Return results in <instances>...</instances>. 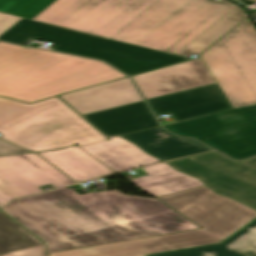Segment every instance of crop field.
I'll use <instances>...</instances> for the list:
<instances>
[{"label":"crop field","instance_id":"obj_1","mask_svg":"<svg viewBox=\"0 0 256 256\" xmlns=\"http://www.w3.org/2000/svg\"><path fill=\"white\" fill-rule=\"evenodd\" d=\"M3 209L46 240L48 253L198 229L157 199L117 190L79 196L62 188Z\"/></svg>","mask_w":256,"mask_h":256},{"label":"crop field","instance_id":"obj_2","mask_svg":"<svg viewBox=\"0 0 256 256\" xmlns=\"http://www.w3.org/2000/svg\"><path fill=\"white\" fill-rule=\"evenodd\" d=\"M121 77L102 62L0 42V97L30 103Z\"/></svg>","mask_w":256,"mask_h":256},{"label":"crop field","instance_id":"obj_3","mask_svg":"<svg viewBox=\"0 0 256 256\" xmlns=\"http://www.w3.org/2000/svg\"><path fill=\"white\" fill-rule=\"evenodd\" d=\"M0 133L34 152L107 140L57 97L32 104L0 98Z\"/></svg>","mask_w":256,"mask_h":256},{"label":"crop field","instance_id":"obj_4","mask_svg":"<svg viewBox=\"0 0 256 256\" xmlns=\"http://www.w3.org/2000/svg\"><path fill=\"white\" fill-rule=\"evenodd\" d=\"M234 7L222 0H159L111 39L175 54Z\"/></svg>","mask_w":256,"mask_h":256},{"label":"crop field","instance_id":"obj_5","mask_svg":"<svg viewBox=\"0 0 256 256\" xmlns=\"http://www.w3.org/2000/svg\"><path fill=\"white\" fill-rule=\"evenodd\" d=\"M29 38L58 44L53 50L103 60L128 76L189 60L25 18L0 36V40L19 44Z\"/></svg>","mask_w":256,"mask_h":256},{"label":"crop field","instance_id":"obj_6","mask_svg":"<svg viewBox=\"0 0 256 256\" xmlns=\"http://www.w3.org/2000/svg\"><path fill=\"white\" fill-rule=\"evenodd\" d=\"M200 57L233 108L256 103V30L249 19Z\"/></svg>","mask_w":256,"mask_h":256},{"label":"crop field","instance_id":"obj_7","mask_svg":"<svg viewBox=\"0 0 256 256\" xmlns=\"http://www.w3.org/2000/svg\"><path fill=\"white\" fill-rule=\"evenodd\" d=\"M158 0H57L33 20L110 39Z\"/></svg>","mask_w":256,"mask_h":256},{"label":"crop field","instance_id":"obj_8","mask_svg":"<svg viewBox=\"0 0 256 256\" xmlns=\"http://www.w3.org/2000/svg\"><path fill=\"white\" fill-rule=\"evenodd\" d=\"M164 128L179 136L196 138L233 159L256 155V104L165 125Z\"/></svg>","mask_w":256,"mask_h":256},{"label":"crop field","instance_id":"obj_9","mask_svg":"<svg viewBox=\"0 0 256 256\" xmlns=\"http://www.w3.org/2000/svg\"><path fill=\"white\" fill-rule=\"evenodd\" d=\"M157 199L221 241L256 218L253 208L220 196L205 185Z\"/></svg>","mask_w":256,"mask_h":256},{"label":"crop field","instance_id":"obj_10","mask_svg":"<svg viewBox=\"0 0 256 256\" xmlns=\"http://www.w3.org/2000/svg\"><path fill=\"white\" fill-rule=\"evenodd\" d=\"M167 163L202 180L220 194L256 208V160L246 167L218 152H209Z\"/></svg>","mask_w":256,"mask_h":256},{"label":"crop field","instance_id":"obj_11","mask_svg":"<svg viewBox=\"0 0 256 256\" xmlns=\"http://www.w3.org/2000/svg\"><path fill=\"white\" fill-rule=\"evenodd\" d=\"M74 184L34 153L0 157V208L12 199Z\"/></svg>","mask_w":256,"mask_h":256},{"label":"crop field","instance_id":"obj_12","mask_svg":"<svg viewBox=\"0 0 256 256\" xmlns=\"http://www.w3.org/2000/svg\"><path fill=\"white\" fill-rule=\"evenodd\" d=\"M221 242L203 229L48 254L49 256H144V254Z\"/></svg>","mask_w":256,"mask_h":256},{"label":"crop field","instance_id":"obj_13","mask_svg":"<svg viewBox=\"0 0 256 256\" xmlns=\"http://www.w3.org/2000/svg\"><path fill=\"white\" fill-rule=\"evenodd\" d=\"M145 100L215 83L200 59L131 76Z\"/></svg>","mask_w":256,"mask_h":256},{"label":"crop field","instance_id":"obj_14","mask_svg":"<svg viewBox=\"0 0 256 256\" xmlns=\"http://www.w3.org/2000/svg\"><path fill=\"white\" fill-rule=\"evenodd\" d=\"M147 102L155 115L170 113L176 122L232 108L217 83Z\"/></svg>","mask_w":256,"mask_h":256},{"label":"crop field","instance_id":"obj_15","mask_svg":"<svg viewBox=\"0 0 256 256\" xmlns=\"http://www.w3.org/2000/svg\"><path fill=\"white\" fill-rule=\"evenodd\" d=\"M59 98L80 115L143 100L128 77L64 94Z\"/></svg>","mask_w":256,"mask_h":256},{"label":"crop field","instance_id":"obj_16","mask_svg":"<svg viewBox=\"0 0 256 256\" xmlns=\"http://www.w3.org/2000/svg\"><path fill=\"white\" fill-rule=\"evenodd\" d=\"M106 136L158 127L145 101L83 115Z\"/></svg>","mask_w":256,"mask_h":256},{"label":"crop field","instance_id":"obj_17","mask_svg":"<svg viewBox=\"0 0 256 256\" xmlns=\"http://www.w3.org/2000/svg\"><path fill=\"white\" fill-rule=\"evenodd\" d=\"M147 153L162 160L210 151L212 149L191 139L171 135L161 127L122 135Z\"/></svg>","mask_w":256,"mask_h":256},{"label":"crop field","instance_id":"obj_18","mask_svg":"<svg viewBox=\"0 0 256 256\" xmlns=\"http://www.w3.org/2000/svg\"><path fill=\"white\" fill-rule=\"evenodd\" d=\"M67 174L76 182H82L116 173L114 170L77 146L37 153Z\"/></svg>","mask_w":256,"mask_h":256},{"label":"crop field","instance_id":"obj_19","mask_svg":"<svg viewBox=\"0 0 256 256\" xmlns=\"http://www.w3.org/2000/svg\"><path fill=\"white\" fill-rule=\"evenodd\" d=\"M107 139L109 140L107 142L81 148L117 172L161 162V160L145 154L137 146L120 137Z\"/></svg>","mask_w":256,"mask_h":256},{"label":"crop field","instance_id":"obj_20","mask_svg":"<svg viewBox=\"0 0 256 256\" xmlns=\"http://www.w3.org/2000/svg\"><path fill=\"white\" fill-rule=\"evenodd\" d=\"M148 256H256V221L222 244Z\"/></svg>","mask_w":256,"mask_h":256},{"label":"crop field","instance_id":"obj_21","mask_svg":"<svg viewBox=\"0 0 256 256\" xmlns=\"http://www.w3.org/2000/svg\"><path fill=\"white\" fill-rule=\"evenodd\" d=\"M142 170L149 175L130 179V181L155 197L203 185L192 177L174 171L164 163L142 168Z\"/></svg>","mask_w":256,"mask_h":256},{"label":"crop field","instance_id":"obj_22","mask_svg":"<svg viewBox=\"0 0 256 256\" xmlns=\"http://www.w3.org/2000/svg\"><path fill=\"white\" fill-rule=\"evenodd\" d=\"M244 18L245 17L239 8L235 7L213 26L187 44L183 49L176 53V55L187 58L193 54L199 55Z\"/></svg>","mask_w":256,"mask_h":256},{"label":"crop field","instance_id":"obj_23","mask_svg":"<svg viewBox=\"0 0 256 256\" xmlns=\"http://www.w3.org/2000/svg\"><path fill=\"white\" fill-rule=\"evenodd\" d=\"M42 243L0 211V253Z\"/></svg>","mask_w":256,"mask_h":256},{"label":"crop field","instance_id":"obj_24","mask_svg":"<svg viewBox=\"0 0 256 256\" xmlns=\"http://www.w3.org/2000/svg\"><path fill=\"white\" fill-rule=\"evenodd\" d=\"M55 0H0V12L32 19Z\"/></svg>","mask_w":256,"mask_h":256},{"label":"crop field","instance_id":"obj_25","mask_svg":"<svg viewBox=\"0 0 256 256\" xmlns=\"http://www.w3.org/2000/svg\"><path fill=\"white\" fill-rule=\"evenodd\" d=\"M0 256H46L44 246H35L7 254H3Z\"/></svg>","mask_w":256,"mask_h":256},{"label":"crop field","instance_id":"obj_26","mask_svg":"<svg viewBox=\"0 0 256 256\" xmlns=\"http://www.w3.org/2000/svg\"><path fill=\"white\" fill-rule=\"evenodd\" d=\"M21 17L0 13V35L18 22Z\"/></svg>","mask_w":256,"mask_h":256},{"label":"crop field","instance_id":"obj_27","mask_svg":"<svg viewBox=\"0 0 256 256\" xmlns=\"http://www.w3.org/2000/svg\"><path fill=\"white\" fill-rule=\"evenodd\" d=\"M22 148L9 144L5 141L0 140V156L2 155H10V154H19V153H28Z\"/></svg>","mask_w":256,"mask_h":256},{"label":"crop field","instance_id":"obj_28","mask_svg":"<svg viewBox=\"0 0 256 256\" xmlns=\"http://www.w3.org/2000/svg\"><path fill=\"white\" fill-rule=\"evenodd\" d=\"M248 159H249V158H248ZM255 159H256V157H255V158H252V159H249V160L241 161L240 163H242V164H244V165H247V164H249L250 162L254 161Z\"/></svg>","mask_w":256,"mask_h":256}]
</instances>
